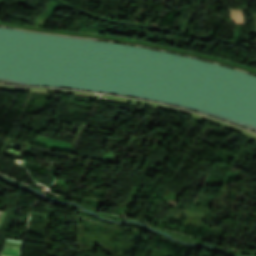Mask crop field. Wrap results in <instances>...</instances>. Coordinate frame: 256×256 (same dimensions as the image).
I'll list each match as a JSON object with an SVG mask.
<instances>
[{
  "instance_id": "1",
  "label": "crop field",
  "mask_w": 256,
  "mask_h": 256,
  "mask_svg": "<svg viewBox=\"0 0 256 256\" xmlns=\"http://www.w3.org/2000/svg\"><path fill=\"white\" fill-rule=\"evenodd\" d=\"M23 241L8 239L5 245L21 247ZM4 246L0 256H19L20 248Z\"/></svg>"
},
{
  "instance_id": "2",
  "label": "crop field",
  "mask_w": 256,
  "mask_h": 256,
  "mask_svg": "<svg viewBox=\"0 0 256 256\" xmlns=\"http://www.w3.org/2000/svg\"><path fill=\"white\" fill-rule=\"evenodd\" d=\"M5 215L6 214H4V213H0V226L2 224V221H3L4 217H5Z\"/></svg>"
},
{
  "instance_id": "3",
  "label": "crop field",
  "mask_w": 256,
  "mask_h": 256,
  "mask_svg": "<svg viewBox=\"0 0 256 256\" xmlns=\"http://www.w3.org/2000/svg\"><path fill=\"white\" fill-rule=\"evenodd\" d=\"M255 26H256V23H255Z\"/></svg>"
}]
</instances>
